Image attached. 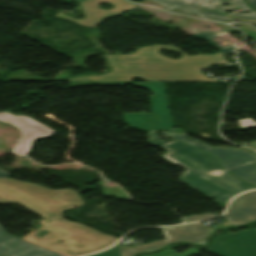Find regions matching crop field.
Listing matches in <instances>:
<instances>
[{"label": "crop field", "mask_w": 256, "mask_h": 256, "mask_svg": "<svg viewBox=\"0 0 256 256\" xmlns=\"http://www.w3.org/2000/svg\"><path fill=\"white\" fill-rule=\"evenodd\" d=\"M163 48L180 52L179 60L157 54ZM224 54L187 56L172 46L154 45L140 48L133 55H105L113 71L103 75L85 76L66 81H132L134 78L146 81H218L201 73L205 66L227 63Z\"/></svg>", "instance_id": "obj_1"}, {"label": "crop field", "mask_w": 256, "mask_h": 256, "mask_svg": "<svg viewBox=\"0 0 256 256\" xmlns=\"http://www.w3.org/2000/svg\"><path fill=\"white\" fill-rule=\"evenodd\" d=\"M170 135L174 141L166 144L157 138L156 130H149V142L168 151L163 158L188 169L179 179L191 187L224 203L244 190L256 188L222 170L220 159L177 140L172 133Z\"/></svg>", "instance_id": "obj_2"}, {"label": "crop field", "mask_w": 256, "mask_h": 256, "mask_svg": "<svg viewBox=\"0 0 256 256\" xmlns=\"http://www.w3.org/2000/svg\"><path fill=\"white\" fill-rule=\"evenodd\" d=\"M0 203H19L47 218L40 221L43 224L59 218L63 209L83 204L73 191H53L9 178L0 179Z\"/></svg>", "instance_id": "obj_3"}, {"label": "crop field", "mask_w": 256, "mask_h": 256, "mask_svg": "<svg viewBox=\"0 0 256 256\" xmlns=\"http://www.w3.org/2000/svg\"><path fill=\"white\" fill-rule=\"evenodd\" d=\"M41 229L50 232L42 238L38 237L36 234ZM41 229L34 231L35 233L32 232L33 234L30 233L31 235L26 239L69 256L96 252L116 241L114 236L100 233L79 223L68 222L62 218L47 223ZM60 241L64 243L61 244Z\"/></svg>", "instance_id": "obj_4"}, {"label": "crop field", "mask_w": 256, "mask_h": 256, "mask_svg": "<svg viewBox=\"0 0 256 256\" xmlns=\"http://www.w3.org/2000/svg\"><path fill=\"white\" fill-rule=\"evenodd\" d=\"M176 138L222 159L223 169L256 185V154L243 148L211 147L186 135Z\"/></svg>", "instance_id": "obj_5"}, {"label": "crop field", "mask_w": 256, "mask_h": 256, "mask_svg": "<svg viewBox=\"0 0 256 256\" xmlns=\"http://www.w3.org/2000/svg\"><path fill=\"white\" fill-rule=\"evenodd\" d=\"M150 89L155 94L150 97L153 114H125V121L132 127L145 129H168L176 134L183 133L182 129L172 130L164 82L133 83Z\"/></svg>", "instance_id": "obj_6"}, {"label": "crop field", "mask_w": 256, "mask_h": 256, "mask_svg": "<svg viewBox=\"0 0 256 256\" xmlns=\"http://www.w3.org/2000/svg\"><path fill=\"white\" fill-rule=\"evenodd\" d=\"M161 230L164 232L165 240L147 243L139 247L119 248L121 256H134L136 252L159 249L175 241H187L195 245H207L206 238L212 235L201 223L177 227H164L161 228Z\"/></svg>", "instance_id": "obj_7"}, {"label": "crop field", "mask_w": 256, "mask_h": 256, "mask_svg": "<svg viewBox=\"0 0 256 256\" xmlns=\"http://www.w3.org/2000/svg\"><path fill=\"white\" fill-rule=\"evenodd\" d=\"M208 250L221 256H256V229L222 235Z\"/></svg>", "instance_id": "obj_8"}, {"label": "crop field", "mask_w": 256, "mask_h": 256, "mask_svg": "<svg viewBox=\"0 0 256 256\" xmlns=\"http://www.w3.org/2000/svg\"><path fill=\"white\" fill-rule=\"evenodd\" d=\"M0 121L9 123L21 131V138L18 143L16 142L17 144L10 152L22 156H24L30 149L31 143L35 138L46 136L54 132V130L27 117L26 115L14 116L8 112H2L0 113Z\"/></svg>", "instance_id": "obj_9"}, {"label": "crop field", "mask_w": 256, "mask_h": 256, "mask_svg": "<svg viewBox=\"0 0 256 256\" xmlns=\"http://www.w3.org/2000/svg\"><path fill=\"white\" fill-rule=\"evenodd\" d=\"M103 2L112 4L114 8L112 10L100 9L99 4ZM81 6L85 13L86 19H74L61 12H57L56 17L67 19L81 26L95 27L103 19L109 16H116L138 7L126 0H89L81 4Z\"/></svg>", "instance_id": "obj_10"}, {"label": "crop field", "mask_w": 256, "mask_h": 256, "mask_svg": "<svg viewBox=\"0 0 256 256\" xmlns=\"http://www.w3.org/2000/svg\"><path fill=\"white\" fill-rule=\"evenodd\" d=\"M181 1L185 2L186 4H192V5H196V6H200V7H202V5H203L204 6L203 8H205V9L218 11V12H222V13H226L225 12L226 10L233 7L231 4V1H227V0H181ZM222 3H230V5L227 7L221 6ZM233 3L236 8H240L244 12L251 11L252 13L251 14H240V15L239 14H231L232 16L242 17V18H246V19H256V12L254 10H252L251 8H249L242 0H233ZM190 7H192L194 10L196 8L197 9L196 11L199 12L201 15H203L208 20L223 21V22L229 20L226 18L225 14H219V13H215V12H211V11H207V10H202L201 8H197L194 6H190ZM226 14H228V13H226Z\"/></svg>", "instance_id": "obj_11"}, {"label": "crop field", "mask_w": 256, "mask_h": 256, "mask_svg": "<svg viewBox=\"0 0 256 256\" xmlns=\"http://www.w3.org/2000/svg\"><path fill=\"white\" fill-rule=\"evenodd\" d=\"M0 256H63L27 243L9 234L0 225Z\"/></svg>", "instance_id": "obj_12"}, {"label": "crop field", "mask_w": 256, "mask_h": 256, "mask_svg": "<svg viewBox=\"0 0 256 256\" xmlns=\"http://www.w3.org/2000/svg\"><path fill=\"white\" fill-rule=\"evenodd\" d=\"M232 225H243L256 220V191L245 193L229 206L224 216Z\"/></svg>", "instance_id": "obj_13"}, {"label": "crop field", "mask_w": 256, "mask_h": 256, "mask_svg": "<svg viewBox=\"0 0 256 256\" xmlns=\"http://www.w3.org/2000/svg\"><path fill=\"white\" fill-rule=\"evenodd\" d=\"M197 39H204L206 40L212 47L216 48H221L219 51L227 54V53H235L236 50L238 48L234 47L233 45H229V46H225V47H221L220 45H218L217 43H215L214 41L211 40V38L217 36L214 32H204V33H200V34H195V35H191Z\"/></svg>", "instance_id": "obj_14"}, {"label": "crop field", "mask_w": 256, "mask_h": 256, "mask_svg": "<svg viewBox=\"0 0 256 256\" xmlns=\"http://www.w3.org/2000/svg\"><path fill=\"white\" fill-rule=\"evenodd\" d=\"M131 1V0H130ZM155 2H158L160 4H162L163 6H165L167 9H174V8H181L184 11H186L187 13L190 14H196L201 16L199 13H197L196 11H194L192 8H190L189 6H187L185 3L179 1V0H153ZM202 18H204L203 16H201ZM205 19V18H204Z\"/></svg>", "instance_id": "obj_15"}, {"label": "crop field", "mask_w": 256, "mask_h": 256, "mask_svg": "<svg viewBox=\"0 0 256 256\" xmlns=\"http://www.w3.org/2000/svg\"><path fill=\"white\" fill-rule=\"evenodd\" d=\"M194 253H197V250L195 248H190L185 253L182 254L174 253L172 249H165L164 251L157 254H147L142 256H189Z\"/></svg>", "instance_id": "obj_16"}, {"label": "crop field", "mask_w": 256, "mask_h": 256, "mask_svg": "<svg viewBox=\"0 0 256 256\" xmlns=\"http://www.w3.org/2000/svg\"><path fill=\"white\" fill-rule=\"evenodd\" d=\"M239 121H240L242 129H247V127H249V126L256 127V123H254L253 119H251V118L239 119ZM249 147L256 149V141H253Z\"/></svg>", "instance_id": "obj_17"}, {"label": "crop field", "mask_w": 256, "mask_h": 256, "mask_svg": "<svg viewBox=\"0 0 256 256\" xmlns=\"http://www.w3.org/2000/svg\"><path fill=\"white\" fill-rule=\"evenodd\" d=\"M89 256H120V253H119V249L116 245L107 251H104V252L98 253V254H94V255H89Z\"/></svg>", "instance_id": "obj_18"}, {"label": "crop field", "mask_w": 256, "mask_h": 256, "mask_svg": "<svg viewBox=\"0 0 256 256\" xmlns=\"http://www.w3.org/2000/svg\"><path fill=\"white\" fill-rule=\"evenodd\" d=\"M219 216L218 214H204V215H197V216H191V217H185L184 221H196V220H202V219H208V218H214Z\"/></svg>", "instance_id": "obj_19"}, {"label": "crop field", "mask_w": 256, "mask_h": 256, "mask_svg": "<svg viewBox=\"0 0 256 256\" xmlns=\"http://www.w3.org/2000/svg\"><path fill=\"white\" fill-rule=\"evenodd\" d=\"M216 25H218L219 27H221L222 29L226 30L229 33L238 32V30H236V29H232L230 27H227L226 24L216 23Z\"/></svg>", "instance_id": "obj_20"}, {"label": "crop field", "mask_w": 256, "mask_h": 256, "mask_svg": "<svg viewBox=\"0 0 256 256\" xmlns=\"http://www.w3.org/2000/svg\"><path fill=\"white\" fill-rule=\"evenodd\" d=\"M11 175H9V174H7L6 172H4V171H2L1 169H0V178H2V177H10Z\"/></svg>", "instance_id": "obj_21"}, {"label": "crop field", "mask_w": 256, "mask_h": 256, "mask_svg": "<svg viewBox=\"0 0 256 256\" xmlns=\"http://www.w3.org/2000/svg\"><path fill=\"white\" fill-rule=\"evenodd\" d=\"M230 18H234V19H239V20H244V21H248V22H251L253 24H256V21L255 20H246V19H241V18H237V17H231V16H228Z\"/></svg>", "instance_id": "obj_22"}, {"label": "crop field", "mask_w": 256, "mask_h": 256, "mask_svg": "<svg viewBox=\"0 0 256 256\" xmlns=\"http://www.w3.org/2000/svg\"><path fill=\"white\" fill-rule=\"evenodd\" d=\"M243 28H245V29L249 30L250 32L256 34V30L251 28V27H249V26H243Z\"/></svg>", "instance_id": "obj_23"}, {"label": "crop field", "mask_w": 256, "mask_h": 256, "mask_svg": "<svg viewBox=\"0 0 256 256\" xmlns=\"http://www.w3.org/2000/svg\"><path fill=\"white\" fill-rule=\"evenodd\" d=\"M252 7L256 10V0H248Z\"/></svg>", "instance_id": "obj_24"}, {"label": "crop field", "mask_w": 256, "mask_h": 256, "mask_svg": "<svg viewBox=\"0 0 256 256\" xmlns=\"http://www.w3.org/2000/svg\"><path fill=\"white\" fill-rule=\"evenodd\" d=\"M239 28H240L241 30H243L244 32L248 33L249 35H251L252 37H254V38L256 39V35L250 33L249 31H247V30H245V29H243V28H241V27H239Z\"/></svg>", "instance_id": "obj_25"}, {"label": "crop field", "mask_w": 256, "mask_h": 256, "mask_svg": "<svg viewBox=\"0 0 256 256\" xmlns=\"http://www.w3.org/2000/svg\"><path fill=\"white\" fill-rule=\"evenodd\" d=\"M256 51V50H255Z\"/></svg>", "instance_id": "obj_26"}]
</instances>
